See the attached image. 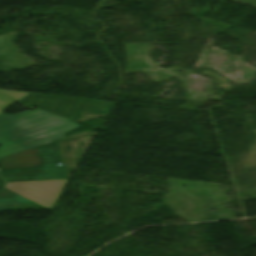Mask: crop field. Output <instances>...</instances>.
Masks as SVG:
<instances>
[{
	"instance_id": "crop-field-1",
	"label": "crop field",
	"mask_w": 256,
	"mask_h": 256,
	"mask_svg": "<svg viewBox=\"0 0 256 256\" xmlns=\"http://www.w3.org/2000/svg\"><path fill=\"white\" fill-rule=\"evenodd\" d=\"M80 126L35 109L16 115L0 114V158L58 139Z\"/></svg>"
},
{
	"instance_id": "crop-field-2",
	"label": "crop field",
	"mask_w": 256,
	"mask_h": 256,
	"mask_svg": "<svg viewBox=\"0 0 256 256\" xmlns=\"http://www.w3.org/2000/svg\"><path fill=\"white\" fill-rule=\"evenodd\" d=\"M0 163L4 182L68 178L62 139L2 158Z\"/></svg>"
},
{
	"instance_id": "crop-field-3",
	"label": "crop field",
	"mask_w": 256,
	"mask_h": 256,
	"mask_svg": "<svg viewBox=\"0 0 256 256\" xmlns=\"http://www.w3.org/2000/svg\"><path fill=\"white\" fill-rule=\"evenodd\" d=\"M19 103L29 105L64 118H81L82 115L101 116L111 102L30 93Z\"/></svg>"
},
{
	"instance_id": "crop-field-4",
	"label": "crop field",
	"mask_w": 256,
	"mask_h": 256,
	"mask_svg": "<svg viewBox=\"0 0 256 256\" xmlns=\"http://www.w3.org/2000/svg\"><path fill=\"white\" fill-rule=\"evenodd\" d=\"M67 180L12 182L5 183L3 187L44 208L50 209L54 207Z\"/></svg>"
},
{
	"instance_id": "crop-field-5",
	"label": "crop field",
	"mask_w": 256,
	"mask_h": 256,
	"mask_svg": "<svg viewBox=\"0 0 256 256\" xmlns=\"http://www.w3.org/2000/svg\"><path fill=\"white\" fill-rule=\"evenodd\" d=\"M94 133L87 132L63 140L69 178L72 176Z\"/></svg>"
},
{
	"instance_id": "crop-field-6",
	"label": "crop field",
	"mask_w": 256,
	"mask_h": 256,
	"mask_svg": "<svg viewBox=\"0 0 256 256\" xmlns=\"http://www.w3.org/2000/svg\"><path fill=\"white\" fill-rule=\"evenodd\" d=\"M0 92L7 95L8 97H10L15 101L19 100L20 98L28 94L26 92H18V91H10V90H0Z\"/></svg>"
},
{
	"instance_id": "crop-field-7",
	"label": "crop field",
	"mask_w": 256,
	"mask_h": 256,
	"mask_svg": "<svg viewBox=\"0 0 256 256\" xmlns=\"http://www.w3.org/2000/svg\"><path fill=\"white\" fill-rule=\"evenodd\" d=\"M14 103H16V102H14L0 94V113L2 111H4L5 109H7L8 107H10L11 105H13Z\"/></svg>"
},
{
	"instance_id": "crop-field-8",
	"label": "crop field",
	"mask_w": 256,
	"mask_h": 256,
	"mask_svg": "<svg viewBox=\"0 0 256 256\" xmlns=\"http://www.w3.org/2000/svg\"><path fill=\"white\" fill-rule=\"evenodd\" d=\"M90 118H94V117H91V116H82L81 119H72L73 121H76V122H79V121H83V120H87V119H90Z\"/></svg>"
},
{
	"instance_id": "crop-field-9",
	"label": "crop field",
	"mask_w": 256,
	"mask_h": 256,
	"mask_svg": "<svg viewBox=\"0 0 256 256\" xmlns=\"http://www.w3.org/2000/svg\"><path fill=\"white\" fill-rule=\"evenodd\" d=\"M2 67V64L0 63V68Z\"/></svg>"
}]
</instances>
